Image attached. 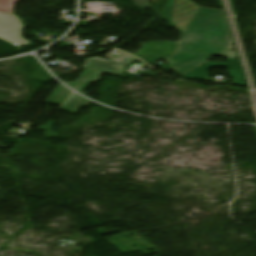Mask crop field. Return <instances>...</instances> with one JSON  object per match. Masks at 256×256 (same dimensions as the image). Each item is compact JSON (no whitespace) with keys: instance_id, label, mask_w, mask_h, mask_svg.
<instances>
[{"instance_id":"1","label":"crop field","mask_w":256,"mask_h":256,"mask_svg":"<svg viewBox=\"0 0 256 256\" xmlns=\"http://www.w3.org/2000/svg\"><path fill=\"white\" fill-rule=\"evenodd\" d=\"M226 24L223 11L198 7L181 35L177 53L166 59L170 69L182 76L214 56L237 59Z\"/></svg>"},{"instance_id":"5","label":"crop field","mask_w":256,"mask_h":256,"mask_svg":"<svg viewBox=\"0 0 256 256\" xmlns=\"http://www.w3.org/2000/svg\"><path fill=\"white\" fill-rule=\"evenodd\" d=\"M24 28L15 15L0 13V39L16 47L28 45L31 41L23 38Z\"/></svg>"},{"instance_id":"4","label":"crop field","mask_w":256,"mask_h":256,"mask_svg":"<svg viewBox=\"0 0 256 256\" xmlns=\"http://www.w3.org/2000/svg\"><path fill=\"white\" fill-rule=\"evenodd\" d=\"M135 61H137V58L122 53L112 61L98 57L87 59L83 67L120 77L124 74L125 66Z\"/></svg>"},{"instance_id":"2","label":"crop field","mask_w":256,"mask_h":256,"mask_svg":"<svg viewBox=\"0 0 256 256\" xmlns=\"http://www.w3.org/2000/svg\"><path fill=\"white\" fill-rule=\"evenodd\" d=\"M198 6L190 0H167V5L163 7L161 15L162 18L182 33Z\"/></svg>"},{"instance_id":"10","label":"crop field","mask_w":256,"mask_h":256,"mask_svg":"<svg viewBox=\"0 0 256 256\" xmlns=\"http://www.w3.org/2000/svg\"><path fill=\"white\" fill-rule=\"evenodd\" d=\"M54 121H47L46 127H39L38 130H46L44 138H58L55 132H51Z\"/></svg>"},{"instance_id":"7","label":"crop field","mask_w":256,"mask_h":256,"mask_svg":"<svg viewBox=\"0 0 256 256\" xmlns=\"http://www.w3.org/2000/svg\"><path fill=\"white\" fill-rule=\"evenodd\" d=\"M100 75H102V73H99L95 70L86 69L76 82H70L66 84L70 85L71 87L75 88L76 90L86 95L88 93H85L83 91L87 88V86L91 82L97 83L101 79H103L99 77Z\"/></svg>"},{"instance_id":"3","label":"crop field","mask_w":256,"mask_h":256,"mask_svg":"<svg viewBox=\"0 0 256 256\" xmlns=\"http://www.w3.org/2000/svg\"><path fill=\"white\" fill-rule=\"evenodd\" d=\"M210 67H227L230 77L233 80V84L245 87V83L242 82L244 79L239 61L232 59H228V62H207L182 77L186 79L205 81L209 75V72L207 71Z\"/></svg>"},{"instance_id":"11","label":"crop field","mask_w":256,"mask_h":256,"mask_svg":"<svg viewBox=\"0 0 256 256\" xmlns=\"http://www.w3.org/2000/svg\"><path fill=\"white\" fill-rule=\"evenodd\" d=\"M17 1L19 0H0V9L12 11L13 6Z\"/></svg>"},{"instance_id":"6","label":"crop field","mask_w":256,"mask_h":256,"mask_svg":"<svg viewBox=\"0 0 256 256\" xmlns=\"http://www.w3.org/2000/svg\"><path fill=\"white\" fill-rule=\"evenodd\" d=\"M178 44H179V41L178 42H170V41L147 42V43H143L139 51L134 54L149 61L150 63H152L153 65L159 68L161 66H159L155 61L159 59H165L175 54L178 48Z\"/></svg>"},{"instance_id":"9","label":"crop field","mask_w":256,"mask_h":256,"mask_svg":"<svg viewBox=\"0 0 256 256\" xmlns=\"http://www.w3.org/2000/svg\"><path fill=\"white\" fill-rule=\"evenodd\" d=\"M89 103L90 101L74 94L70 101L60 109L76 114L84 105L87 106Z\"/></svg>"},{"instance_id":"8","label":"crop field","mask_w":256,"mask_h":256,"mask_svg":"<svg viewBox=\"0 0 256 256\" xmlns=\"http://www.w3.org/2000/svg\"><path fill=\"white\" fill-rule=\"evenodd\" d=\"M71 93V91L59 84L45 103L62 105Z\"/></svg>"},{"instance_id":"12","label":"crop field","mask_w":256,"mask_h":256,"mask_svg":"<svg viewBox=\"0 0 256 256\" xmlns=\"http://www.w3.org/2000/svg\"><path fill=\"white\" fill-rule=\"evenodd\" d=\"M134 2H135L134 7L141 9V10H144L149 5L148 0H134Z\"/></svg>"}]
</instances>
